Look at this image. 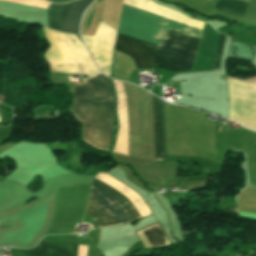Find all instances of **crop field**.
<instances>
[{
	"mask_svg": "<svg viewBox=\"0 0 256 256\" xmlns=\"http://www.w3.org/2000/svg\"><path fill=\"white\" fill-rule=\"evenodd\" d=\"M117 219L119 223L129 222L140 218L131 203L111 185L94 179L91 192ZM90 195L86 213L101 227L119 224L108 210Z\"/></svg>",
	"mask_w": 256,
	"mask_h": 256,
	"instance_id": "3",
	"label": "crop field"
},
{
	"mask_svg": "<svg viewBox=\"0 0 256 256\" xmlns=\"http://www.w3.org/2000/svg\"><path fill=\"white\" fill-rule=\"evenodd\" d=\"M255 54L256 45L232 41L227 58L244 59L252 62Z\"/></svg>",
	"mask_w": 256,
	"mask_h": 256,
	"instance_id": "7",
	"label": "crop field"
},
{
	"mask_svg": "<svg viewBox=\"0 0 256 256\" xmlns=\"http://www.w3.org/2000/svg\"><path fill=\"white\" fill-rule=\"evenodd\" d=\"M93 1L78 0L73 2L70 8L71 3L65 5L51 4L47 11L49 28L62 32L64 17L69 8L65 17L63 32L77 34L82 14Z\"/></svg>",
	"mask_w": 256,
	"mask_h": 256,
	"instance_id": "4",
	"label": "crop field"
},
{
	"mask_svg": "<svg viewBox=\"0 0 256 256\" xmlns=\"http://www.w3.org/2000/svg\"><path fill=\"white\" fill-rule=\"evenodd\" d=\"M144 232L153 247L170 244L158 223L144 229Z\"/></svg>",
	"mask_w": 256,
	"mask_h": 256,
	"instance_id": "9",
	"label": "crop field"
},
{
	"mask_svg": "<svg viewBox=\"0 0 256 256\" xmlns=\"http://www.w3.org/2000/svg\"><path fill=\"white\" fill-rule=\"evenodd\" d=\"M155 160H164L162 100L153 96Z\"/></svg>",
	"mask_w": 256,
	"mask_h": 256,
	"instance_id": "6",
	"label": "crop field"
},
{
	"mask_svg": "<svg viewBox=\"0 0 256 256\" xmlns=\"http://www.w3.org/2000/svg\"><path fill=\"white\" fill-rule=\"evenodd\" d=\"M248 256H256V250L253 251L251 254H249Z\"/></svg>",
	"mask_w": 256,
	"mask_h": 256,
	"instance_id": "10",
	"label": "crop field"
},
{
	"mask_svg": "<svg viewBox=\"0 0 256 256\" xmlns=\"http://www.w3.org/2000/svg\"><path fill=\"white\" fill-rule=\"evenodd\" d=\"M248 7L247 3L235 0H218L215 9L243 16Z\"/></svg>",
	"mask_w": 256,
	"mask_h": 256,
	"instance_id": "8",
	"label": "crop field"
},
{
	"mask_svg": "<svg viewBox=\"0 0 256 256\" xmlns=\"http://www.w3.org/2000/svg\"><path fill=\"white\" fill-rule=\"evenodd\" d=\"M166 28L197 40H199L201 33L200 30L195 28L124 3L118 30L119 33L160 47ZM168 29L163 37L160 48L136 39L134 40L191 68L198 41ZM119 33L117 35L114 52L136 66H154L156 61H158L157 68L169 71L190 70V68L132 40L133 38L130 39ZM224 38L225 36L220 34L213 70L219 67Z\"/></svg>",
	"mask_w": 256,
	"mask_h": 256,
	"instance_id": "1",
	"label": "crop field"
},
{
	"mask_svg": "<svg viewBox=\"0 0 256 256\" xmlns=\"http://www.w3.org/2000/svg\"><path fill=\"white\" fill-rule=\"evenodd\" d=\"M75 250V244L49 241H41L30 250L10 248L12 256H75Z\"/></svg>",
	"mask_w": 256,
	"mask_h": 256,
	"instance_id": "5",
	"label": "crop field"
},
{
	"mask_svg": "<svg viewBox=\"0 0 256 256\" xmlns=\"http://www.w3.org/2000/svg\"><path fill=\"white\" fill-rule=\"evenodd\" d=\"M71 113L81 123L84 143L108 152L113 125V95L110 79L102 74L75 85Z\"/></svg>",
	"mask_w": 256,
	"mask_h": 256,
	"instance_id": "2",
	"label": "crop field"
}]
</instances>
